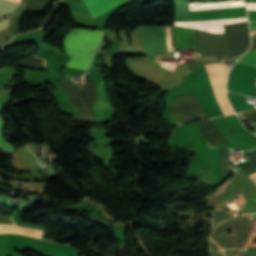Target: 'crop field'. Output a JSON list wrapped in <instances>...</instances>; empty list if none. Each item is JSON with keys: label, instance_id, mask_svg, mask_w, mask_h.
Returning a JSON list of instances; mask_svg holds the SVG:
<instances>
[{"label": "crop field", "instance_id": "2", "mask_svg": "<svg viewBox=\"0 0 256 256\" xmlns=\"http://www.w3.org/2000/svg\"><path fill=\"white\" fill-rule=\"evenodd\" d=\"M174 33L176 50L196 47L194 30L174 27ZM139 39L147 53L166 52L164 29H140ZM174 50L175 47H173Z\"/></svg>", "mask_w": 256, "mask_h": 256}, {"label": "crop field", "instance_id": "10", "mask_svg": "<svg viewBox=\"0 0 256 256\" xmlns=\"http://www.w3.org/2000/svg\"><path fill=\"white\" fill-rule=\"evenodd\" d=\"M250 126H252L256 130V124H251Z\"/></svg>", "mask_w": 256, "mask_h": 256}, {"label": "crop field", "instance_id": "4", "mask_svg": "<svg viewBox=\"0 0 256 256\" xmlns=\"http://www.w3.org/2000/svg\"><path fill=\"white\" fill-rule=\"evenodd\" d=\"M126 0H84L93 18L105 13L112 7Z\"/></svg>", "mask_w": 256, "mask_h": 256}, {"label": "crop field", "instance_id": "1", "mask_svg": "<svg viewBox=\"0 0 256 256\" xmlns=\"http://www.w3.org/2000/svg\"><path fill=\"white\" fill-rule=\"evenodd\" d=\"M102 33L103 31L92 30H73L68 33L64 43L67 54L72 57L66 65L87 70Z\"/></svg>", "mask_w": 256, "mask_h": 256}, {"label": "crop field", "instance_id": "5", "mask_svg": "<svg viewBox=\"0 0 256 256\" xmlns=\"http://www.w3.org/2000/svg\"><path fill=\"white\" fill-rule=\"evenodd\" d=\"M19 3L7 1V0H0V14L8 15L11 13L15 8H17Z\"/></svg>", "mask_w": 256, "mask_h": 256}, {"label": "crop field", "instance_id": "9", "mask_svg": "<svg viewBox=\"0 0 256 256\" xmlns=\"http://www.w3.org/2000/svg\"><path fill=\"white\" fill-rule=\"evenodd\" d=\"M252 26H256V21L250 23V27H252ZM254 38H256V37H253V38H251V39H254Z\"/></svg>", "mask_w": 256, "mask_h": 256}, {"label": "crop field", "instance_id": "7", "mask_svg": "<svg viewBox=\"0 0 256 256\" xmlns=\"http://www.w3.org/2000/svg\"><path fill=\"white\" fill-rule=\"evenodd\" d=\"M238 62L248 63L256 67V51L245 54Z\"/></svg>", "mask_w": 256, "mask_h": 256}, {"label": "crop field", "instance_id": "6", "mask_svg": "<svg viewBox=\"0 0 256 256\" xmlns=\"http://www.w3.org/2000/svg\"><path fill=\"white\" fill-rule=\"evenodd\" d=\"M2 117H0V150L5 151V152H11L13 151L14 147H12L8 142L2 139L1 137V128H2Z\"/></svg>", "mask_w": 256, "mask_h": 256}, {"label": "crop field", "instance_id": "3", "mask_svg": "<svg viewBox=\"0 0 256 256\" xmlns=\"http://www.w3.org/2000/svg\"><path fill=\"white\" fill-rule=\"evenodd\" d=\"M207 76L216 93L219 103L225 115L234 113L226 96H225V80L228 72V67L223 63H213L203 66Z\"/></svg>", "mask_w": 256, "mask_h": 256}, {"label": "crop field", "instance_id": "11", "mask_svg": "<svg viewBox=\"0 0 256 256\" xmlns=\"http://www.w3.org/2000/svg\"><path fill=\"white\" fill-rule=\"evenodd\" d=\"M189 4H194V3H189Z\"/></svg>", "mask_w": 256, "mask_h": 256}, {"label": "crop field", "instance_id": "8", "mask_svg": "<svg viewBox=\"0 0 256 256\" xmlns=\"http://www.w3.org/2000/svg\"><path fill=\"white\" fill-rule=\"evenodd\" d=\"M8 25V19L5 18L0 22V30H2L3 28H5Z\"/></svg>", "mask_w": 256, "mask_h": 256}]
</instances>
